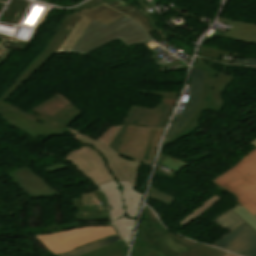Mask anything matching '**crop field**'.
<instances>
[{
	"label": "crop field",
	"mask_w": 256,
	"mask_h": 256,
	"mask_svg": "<svg viewBox=\"0 0 256 256\" xmlns=\"http://www.w3.org/2000/svg\"><path fill=\"white\" fill-rule=\"evenodd\" d=\"M0 116L14 128L20 129L30 136H64L63 132L57 131L43 123L38 122L29 114L22 112L6 102H0ZM10 125V126H11Z\"/></svg>",
	"instance_id": "d8731c3e"
},
{
	"label": "crop field",
	"mask_w": 256,
	"mask_h": 256,
	"mask_svg": "<svg viewBox=\"0 0 256 256\" xmlns=\"http://www.w3.org/2000/svg\"><path fill=\"white\" fill-rule=\"evenodd\" d=\"M135 221L133 219H129L126 216L113 222L115 228L120 233V235L123 237V239L129 244L130 238L133 232V228L135 225Z\"/></svg>",
	"instance_id": "4177f3b9"
},
{
	"label": "crop field",
	"mask_w": 256,
	"mask_h": 256,
	"mask_svg": "<svg viewBox=\"0 0 256 256\" xmlns=\"http://www.w3.org/2000/svg\"><path fill=\"white\" fill-rule=\"evenodd\" d=\"M76 220L79 221H98L110 219L109 210L95 211L85 213L84 209H78V213L75 214Z\"/></svg>",
	"instance_id": "730fd06b"
},
{
	"label": "crop field",
	"mask_w": 256,
	"mask_h": 256,
	"mask_svg": "<svg viewBox=\"0 0 256 256\" xmlns=\"http://www.w3.org/2000/svg\"><path fill=\"white\" fill-rule=\"evenodd\" d=\"M30 110L64 126H68L81 114V110L64 98L60 93L53 95Z\"/></svg>",
	"instance_id": "d1516ede"
},
{
	"label": "crop field",
	"mask_w": 256,
	"mask_h": 256,
	"mask_svg": "<svg viewBox=\"0 0 256 256\" xmlns=\"http://www.w3.org/2000/svg\"><path fill=\"white\" fill-rule=\"evenodd\" d=\"M193 67L198 70L206 71L203 88L201 93V98L198 104V107L193 114L191 120L176 134H174L164 145L163 147L193 133L195 130L199 128L198 120L203 115L206 110L213 111V112H220L223 107V101L219 100H211L214 83L217 74L214 73L212 70L204 66L198 60L195 59Z\"/></svg>",
	"instance_id": "dd49c442"
},
{
	"label": "crop field",
	"mask_w": 256,
	"mask_h": 256,
	"mask_svg": "<svg viewBox=\"0 0 256 256\" xmlns=\"http://www.w3.org/2000/svg\"><path fill=\"white\" fill-rule=\"evenodd\" d=\"M153 13H155V12H153ZM153 13H151V14H153ZM156 21V20H155ZM158 23V22H157ZM160 26V25H159ZM163 32H164V30H163ZM164 34L167 36V37H169L168 35H167V33H165L164 32ZM169 39V38H168ZM171 40V39H170ZM172 41V40H171ZM172 42H174V41H172ZM176 45H178L179 47H181L183 50H185L188 54H190L189 53V49H190V47L189 46H187V44H183V43H181V44H178L177 42H174ZM191 55V54H190Z\"/></svg>",
	"instance_id": "5866460e"
},
{
	"label": "crop field",
	"mask_w": 256,
	"mask_h": 256,
	"mask_svg": "<svg viewBox=\"0 0 256 256\" xmlns=\"http://www.w3.org/2000/svg\"><path fill=\"white\" fill-rule=\"evenodd\" d=\"M123 195L126 216L129 218H137L141 205L143 194L135 191L130 182L118 181Z\"/></svg>",
	"instance_id": "4a817a6b"
},
{
	"label": "crop field",
	"mask_w": 256,
	"mask_h": 256,
	"mask_svg": "<svg viewBox=\"0 0 256 256\" xmlns=\"http://www.w3.org/2000/svg\"><path fill=\"white\" fill-rule=\"evenodd\" d=\"M218 21L226 23L229 26H232V28L229 29L225 34L214 32L210 38L205 36V38L201 43L202 45L215 36H220V37H225V38H230L234 40L256 44V25L255 24L230 20L222 17H220Z\"/></svg>",
	"instance_id": "d9b57169"
},
{
	"label": "crop field",
	"mask_w": 256,
	"mask_h": 256,
	"mask_svg": "<svg viewBox=\"0 0 256 256\" xmlns=\"http://www.w3.org/2000/svg\"><path fill=\"white\" fill-rule=\"evenodd\" d=\"M221 197L217 195H213L210 197L207 201H205L201 206H199L196 210L191 212L189 215L184 217L182 220H180L178 223L180 225L186 226L190 222H192L197 217L201 216L203 213H205L209 208H211L215 203H217Z\"/></svg>",
	"instance_id": "00972430"
},
{
	"label": "crop field",
	"mask_w": 256,
	"mask_h": 256,
	"mask_svg": "<svg viewBox=\"0 0 256 256\" xmlns=\"http://www.w3.org/2000/svg\"><path fill=\"white\" fill-rule=\"evenodd\" d=\"M68 168H69V167H67L66 165H64L63 163H61V164H58V165H54V166L45 168L44 170H45L47 173H50V172L59 171V170H64V169H68Z\"/></svg>",
	"instance_id": "120bbe31"
},
{
	"label": "crop field",
	"mask_w": 256,
	"mask_h": 256,
	"mask_svg": "<svg viewBox=\"0 0 256 256\" xmlns=\"http://www.w3.org/2000/svg\"><path fill=\"white\" fill-rule=\"evenodd\" d=\"M117 235L114 227H80L62 232L36 235L41 245L54 256L74 250L92 242Z\"/></svg>",
	"instance_id": "34b2d1b8"
},
{
	"label": "crop field",
	"mask_w": 256,
	"mask_h": 256,
	"mask_svg": "<svg viewBox=\"0 0 256 256\" xmlns=\"http://www.w3.org/2000/svg\"><path fill=\"white\" fill-rule=\"evenodd\" d=\"M166 234L176 242L183 239L179 235L164 228L154 213L148 207H145L142 223L133 248V256H144L151 251L146 247Z\"/></svg>",
	"instance_id": "3316defc"
},
{
	"label": "crop field",
	"mask_w": 256,
	"mask_h": 256,
	"mask_svg": "<svg viewBox=\"0 0 256 256\" xmlns=\"http://www.w3.org/2000/svg\"><path fill=\"white\" fill-rule=\"evenodd\" d=\"M63 159L96 186L114 180L102 155L88 146L70 152Z\"/></svg>",
	"instance_id": "f4fd0767"
},
{
	"label": "crop field",
	"mask_w": 256,
	"mask_h": 256,
	"mask_svg": "<svg viewBox=\"0 0 256 256\" xmlns=\"http://www.w3.org/2000/svg\"><path fill=\"white\" fill-rule=\"evenodd\" d=\"M126 246H128V245L123 240H121V241H118L116 243L107 245V246H105L101 249H98V250H96L92 253L85 254V255H82V256H100V255L109 253L111 251H114V250H117V249H120V248H123V247H126Z\"/></svg>",
	"instance_id": "d3111659"
},
{
	"label": "crop field",
	"mask_w": 256,
	"mask_h": 256,
	"mask_svg": "<svg viewBox=\"0 0 256 256\" xmlns=\"http://www.w3.org/2000/svg\"><path fill=\"white\" fill-rule=\"evenodd\" d=\"M135 4H137L139 7H141L142 9L149 6L147 3H145L143 0H138V1H135L133 2Z\"/></svg>",
	"instance_id": "e1f06a70"
},
{
	"label": "crop field",
	"mask_w": 256,
	"mask_h": 256,
	"mask_svg": "<svg viewBox=\"0 0 256 256\" xmlns=\"http://www.w3.org/2000/svg\"><path fill=\"white\" fill-rule=\"evenodd\" d=\"M76 15L82 16L76 26L72 29L70 35L67 39L62 43L60 48L57 50L58 52H69L76 40L79 38L85 27L88 25L91 19L98 21L104 25L124 16L123 14L114 11L104 5L80 12Z\"/></svg>",
	"instance_id": "cbeb9de0"
},
{
	"label": "crop field",
	"mask_w": 256,
	"mask_h": 256,
	"mask_svg": "<svg viewBox=\"0 0 256 256\" xmlns=\"http://www.w3.org/2000/svg\"><path fill=\"white\" fill-rule=\"evenodd\" d=\"M233 64L256 66V58H248V59L234 58Z\"/></svg>",
	"instance_id": "1d83c4d3"
},
{
	"label": "crop field",
	"mask_w": 256,
	"mask_h": 256,
	"mask_svg": "<svg viewBox=\"0 0 256 256\" xmlns=\"http://www.w3.org/2000/svg\"><path fill=\"white\" fill-rule=\"evenodd\" d=\"M171 114L170 112L132 106L123 123L124 126L108 147L119 152L127 125L165 128Z\"/></svg>",
	"instance_id": "5a996713"
},
{
	"label": "crop field",
	"mask_w": 256,
	"mask_h": 256,
	"mask_svg": "<svg viewBox=\"0 0 256 256\" xmlns=\"http://www.w3.org/2000/svg\"><path fill=\"white\" fill-rule=\"evenodd\" d=\"M149 198L155 199L157 201L163 202L169 206H171L172 202L174 201V197L154 188L151 187L150 193L148 195Z\"/></svg>",
	"instance_id": "ae1a2a85"
},
{
	"label": "crop field",
	"mask_w": 256,
	"mask_h": 256,
	"mask_svg": "<svg viewBox=\"0 0 256 256\" xmlns=\"http://www.w3.org/2000/svg\"><path fill=\"white\" fill-rule=\"evenodd\" d=\"M117 38L126 46L153 41L138 24L126 16L107 26L91 20L69 53L86 55Z\"/></svg>",
	"instance_id": "8a807250"
},
{
	"label": "crop field",
	"mask_w": 256,
	"mask_h": 256,
	"mask_svg": "<svg viewBox=\"0 0 256 256\" xmlns=\"http://www.w3.org/2000/svg\"><path fill=\"white\" fill-rule=\"evenodd\" d=\"M240 206L239 204L231 208L230 210L226 211L223 213L221 216L216 218L212 223L228 230L231 231L237 226L241 225L244 223L239 217H237L231 210Z\"/></svg>",
	"instance_id": "dafd665d"
},
{
	"label": "crop field",
	"mask_w": 256,
	"mask_h": 256,
	"mask_svg": "<svg viewBox=\"0 0 256 256\" xmlns=\"http://www.w3.org/2000/svg\"><path fill=\"white\" fill-rule=\"evenodd\" d=\"M72 202L75 208H83L80 198H72Z\"/></svg>",
	"instance_id": "028f5c9d"
},
{
	"label": "crop field",
	"mask_w": 256,
	"mask_h": 256,
	"mask_svg": "<svg viewBox=\"0 0 256 256\" xmlns=\"http://www.w3.org/2000/svg\"><path fill=\"white\" fill-rule=\"evenodd\" d=\"M31 200L58 194L41 176L36 175L27 165L7 174Z\"/></svg>",
	"instance_id": "22f410ed"
},
{
	"label": "crop field",
	"mask_w": 256,
	"mask_h": 256,
	"mask_svg": "<svg viewBox=\"0 0 256 256\" xmlns=\"http://www.w3.org/2000/svg\"><path fill=\"white\" fill-rule=\"evenodd\" d=\"M161 103L175 106L176 101H174V100L162 99Z\"/></svg>",
	"instance_id": "0bd39190"
},
{
	"label": "crop field",
	"mask_w": 256,
	"mask_h": 256,
	"mask_svg": "<svg viewBox=\"0 0 256 256\" xmlns=\"http://www.w3.org/2000/svg\"><path fill=\"white\" fill-rule=\"evenodd\" d=\"M81 145H88L97 149L105 158L107 165L116 180L130 181L135 189L141 164L136 161H127L115 154L100 143L83 136L78 132H71Z\"/></svg>",
	"instance_id": "e52e79f7"
},
{
	"label": "crop field",
	"mask_w": 256,
	"mask_h": 256,
	"mask_svg": "<svg viewBox=\"0 0 256 256\" xmlns=\"http://www.w3.org/2000/svg\"><path fill=\"white\" fill-rule=\"evenodd\" d=\"M158 164H160L164 167H167L175 172H178L179 170H181L183 167H185L187 165L183 162L177 161V160L167 157L163 154H160Z\"/></svg>",
	"instance_id": "eef30255"
},
{
	"label": "crop field",
	"mask_w": 256,
	"mask_h": 256,
	"mask_svg": "<svg viewBox=\"0 0 256 256\" xmlns=\"http://www.w3.org/2000/svg\"><path fill=\"white\" fill-rule=\"evenodd\" d=\"M156 253H154V252H149L147 255H145V256H153V255H155Z\"/></svg>",
	"instance_id": "c035e120"
},
{
	"label": "crop field",
	"mask_w": 256,
	"mask_h": 256,
	"mask_svg": "<svg viewBox=\"0 0 256 256\" xmlns=\"http://www.w3.org/2000/svg\"><path fill=\"white\" fill-rule=\"evenodd\" d=\"M152 251L156 252L155 256H176L188 249L178 245L167 235L155 241L149 247Z\"/></svg>",
	"instance_id": "bc2a9ffb"
},
{
	"label": "crop field",
	"mask_w": 256,
	"mask_h": 256,
	"mask_svg": "<svg viewBox=\"0 0 256 256\" xmlns=\"http://www.w3.org/2000/svg\"><path fill=\"white\" fill-rule=\"evenodd\" d=\"M222 193L235 195L243 207L256 214V148L237 165L213 180ZM252 214V215H253ZM253 215V216H254Z\"/></svg>",
	"instance_id": "ac0d7876"
},
{
	"label": "crop field",
	"mask_w": 256,
	"mask_h": 256,
	"mask_svg": "<svg viewBox=\"0 0 256 256\" xmlns=\"http://www.w3.org/2000/svg\"><path fill=\"white\" fill-rule=\"evenodd\" d=\"M204 73L205 72L203 71H198L194 68L192 69L191 76L189 79L190 96L188 103L183 112L181 113V115L170 128L164 140V143L190 120L199 101Z\"/></svg>",
	"instance_id": "5142ce71"
},
{
	"label": "crop field",
	"mask_w": 256,
	"mask_h": 256,
	"mask_svg": "<svg viewBox=\"0 0 256 256\" xmlns=\"http://www.w3.org/2000/svg\"><path fill=\"white\" fill-rule=\"evenodd\" d=\"M118 240H121L119 235L114 236V237H110L108 239L101 240L99 242L93 243V244L85 246V247H81L77 250H74V251L59 255V256H78V255H82V254H85V253L92 252V251H94L98 248H101V247H103L107 244L113 243V242L118 241Z\"/></svg>",
	"instance_id": "a9b5d70f"
},
{
	"label": "crop field",
	"mask_w": 256,
	"mask_h": 256,
	"mask_svg": "<svg viewBox=\"0 0 256 256\" xmlns=\"http://www.w3.org/2000/svg\"><path fill=\"white\" fill-rule=\"evenodd\" d=\"M226 256H234V255L228 253Z\"/></svg>",
	"instance_id": "c21b1889"
},
{
	"label": "crop field",
	"mask_w": 256,
	"mask_h": 256,
	"mask_svg": "<svg viewBox=\"0 0 256 256\" xmlns=\"http://www.w3.org/2000/svg\"><path fill=\"white\" fill-rule=\"evenodd\" d=\"M181 245L189 248L190 250L179 256H224L227 252L220 251L205 245L191 242L187 239L180 241Z\"/></svg>",
	"instance_id": "92a150f3"
},
{
	"label": "crop field",
	"mask_w": 256,
	"mask_h": 256,
	"mask_svg": "<svg viewBox=\"0 0 256 256\" xmlns=\"http://www.w3.org/2000/svg\"><path fill=\"white\" fill-rule=\"evenodd\" d=\"M98 188H100L108 197L112 221H115L124 216V205L122 202L121 191L118 183L114 180L98 186Z\"/></svg>",
	"instance_id": "733c2abd"
},
{
	"label": "crop field",
	"mask_w": 256,
	"mask_h": 256,
	"mask_svg": "<svg viewBox=\"0 0 256 256\" xmlns=\"http://www.w3.org/2000/svg\"><path fill=\"white\" fill-rule=\"evenodd\" d=\"M240 218H242L247 224H249L253 229L256 230V215L253 216L249 211H247L242 206L232 210Z\"/></svg>",
	"instance_id": "750c4746"
},
{
	"label": "crop field",
	"mask_w": 256,
	"mask_h": 256,
	"mask_svg": "<svg viewBox=\"0 0 256 256\" xmlns=\"http://www.w3.org/2000/svg\"><path fill=\"white\" fill-rule=\"evenodd\" d=\"M250 144L254 145L256 147V139L252 140L251 142H249Z\"/></svg>",
	"instance_id": "b80d0937"
},
{
	"label": "crop field",
	"mask_w": 256,
	"mask_h": 256,
	"mask_svg": "<svg viewBox=\"0 0 256 256\" xmlns=\"http://www.w3.org/2000/svg\"><path fill=\"white\" fill-rule=\"evenodd\" d=\"M105 4L134 18L137 22H139L144 27L147 33L154 30L150 25V23L145 18V16H143L136 8L132 7L130 4H127L122 0H114Z\"/></svg>",
	"instance_id": "214f88e0"
},
{
	"label": "crop field",
	"mask_w": 256,
	"mask_h": 256,
	"mask_svg": "<svg viewBox=\"0 0 256 256\" xmlns=\"http://www.w3.org/2000/svg\"><path fill=\"white\" fill-rule=\"evenodd\" d=\"M122 126L116 127V126H110L105 132H103L97 140L101 142L102 144L109 145V143L112 141V139L115 137V135L118 133V131L121 129Z\"/></svg>",
	"instance_id": "bd1437ed"
},
{
	"label": "crop field",
	"mask_w": 256,
	"mask_h": 256,
	"mask_svg": "<svg viewBox=\"0 0 256 256\" xmlns=\"http://www.w3.org/2000/svg\"><path fill=\"white\" fill-rule=\"evenodd\" d=\"M127 250H128V247H126L124 249H120V250L114 251L112 253H109V254H106V255H103V256H125Z\"/></svg>",
	"instance_id": "d32e631a"
},
{
	"label": "crop field",
	"mask_w": 256,
	"mask_h": 256,
	"mask_svg": "<svg viewBox=\"0 0 256 256\" xmlns=\"http://www.w3.org/2000/svg\"><path fill=\"white\" fill-rule=\"evenodd\" d=\"M163 130L128 126L119 153L152 165L157 143Z\"/></svg>",
	"instance_id": "412701ff"
},
{
	"label": "crop field",
	"mask_w": 256,
	"mask_h": 256,
	"mask_svg": "<svg viewBox=\"0 0 256 256\" xmlns=\"http://www.w3.org/2000/svg\"><path fill=\"white\" fill-rule=\"evenodd\" d=\"M241 256H256V232L245 223L212 244Z\"/></svg>",
	"instance_id": "28ad6ade"
}]
</instances>
